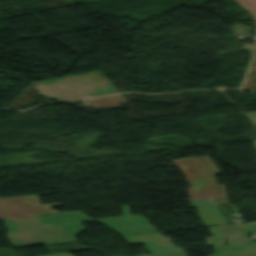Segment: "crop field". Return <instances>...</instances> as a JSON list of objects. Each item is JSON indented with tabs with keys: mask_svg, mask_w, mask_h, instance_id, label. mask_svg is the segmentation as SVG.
Wrapping results in <instances>:
<instances>
[{
	"mask_svg": "<svg viewBox=\"0 0 256 256\" xmlns=\"http://www.w3.org/2000/svg\"><path fill=\"white\" fill-rule=\"evenodd\" d=\"M34 86L37 88L42 96L58 101L112 94L118 92L109 83L103 81L77 84L72 79H58L39 82Z\"/></svg>",
	"mask_w": 256,
	"mask_h": 256,
	"instance_id": "crop-field-1",
	"label": "crop field"
},
{
	"mask_svg": "<svg viewBox=\"0 0 256 256\" xmlns=\"http://www.w3.org/2000/svg\"><path fill=\"white\" fill-rule=\"evenodd\" d=\"M59 203L40 205L36 195L0 199V218L11 219L57 212L50 207ZM35 208V209H33Z\"/></svg>",
	"mask_w": 256,
	"mask_h": 256,
	"instance_id": "crop-field-2",
	"label": "crop field"
},
{
	"mask_svg": "<svg viewBox=\"0 0 256 256\" xmlns=\"http://www.w3.org/2000/svg\"><path fill=\"white\" fill-rule=\"evenodd\" d=\"M190 188L186 189L190 198L216 195V179L214 176L187 179ZM226 194L224 185H219L217 195Z\"/></svg>",
	"mask_w": 256,
	"mask_h": 256,
	"instance_id": "crop-field-3",
	"label": "crop field"
},
{
	"mask_svg": "<svg viewBox=\"0 0 256 256\" xmlns=\"http://www.w3.org/2000/svg\"><path fill=\"white\" fill-rule=\"evenodd\" d=\"M173 161L186 177L213 174L200 157L176 159Z\"/></svg>",
	"mask_w": 256,
	"mask_h": 256,
	"instance_id": "crop-field-4",
	"label": "crop field"
},
{
	"mask_svg": "<svg viewBox=\"0 0 256 256\" xmlns=\"http://www.w3.org/2000/svg\"><path fill=\"white\" fill-rule=\"evenodd\" d=\"M84 106L88 107H103L110 109L120 108V104L126 103L121 94L103 96L91 99L82 100Z\"/></svg>",
	"mask_w": 256,
	"mask_h": 256,
	"instance_id": "crop-field-5",
	"label": "crop field"
},
{
	"mask_svg": "<svg viewBox=\"0 0 256 256\" xmlns=\"http://www.w3.org/2000/svg\"><path fill=\"white\" fill-rule=\"evenodd\" d=\"M204 226L227 224L218 206L196 209Z\"/></svg>",
	"mask_w": 256,
	"mask_h": 256,
	"instance_id": "crop-field-6",
	"label": "crop field"
},
{
	"mask_svg": "<svg viewBox=\"0 0 256 256\" xmlns=\"http://www.w3.org/2000/svg\"><path fill=\"white\" fill-rule=\"evenodd\" d=\"M130 245L136 244H146L160 241L170 240L169 237H164L160 234H147V235H137V236H127L123 237Z\"/></svg>",
	"mask_w": 256,
	"mask_h": 256,
	"instance_id": "crop-field-7",
	"label": "crop field"
},
{
	"mask_svg": "<svg viewBox=\"0 0 256 256\" xmlns=\"http://www.w3.org/2000/svg\"><path fill=\"white\" fill-rule=\"evenodd\" d=\"M226 235L256 231V223L234 224L222 226Z\"/></svg>",
	"mask_w": 256,
	"mask_h": 256,
	"instance_id": "crop-field-8",
	"label": "crop field"
},
{
	"mask_svg": "<svg viewBox=\"0 0 256 256\" xmlns=\"http://www.w3.org/2000/svg\"><path fill=\"white\" fill-rule=\"evenodd\" d=\"M241 5L250 10L256 16V0H238Z\"/></svg>",
	"mask_w": 256,
	"mask_h": 256,
	"instance_id": "crop-field-9",
	"label": "crop field"
},
{
	"mask_svg": "<svg viewBox=\"0 0 256 256\" xmlns=\"http://www.w3.org/2000/svg\"><path fill=\"white\" fill-rule=\"evenodd\" d=\"M201 158L208 165V167L213 171L214 174L222 173L207 156L201 157Z\"/></svg>",
	"mask_w": 256,
	"mask_h": 256,
	"instance_id": "crop-field-10",
	"label": "crop field"
},
{
	"mask_svg": "<svg viewBox=\"0 0 256 256\" xmlns=\"http://www.w3.org/2000/svg\"><path fill=\"white\" fill-rule=\"evenodd\" d=\"M212 236L224 235L220 226L208 227Z\"/></svg>",
	"mask_w": 256,
	"mask_h": 256,
	"instance_id": "crop-field-11",
	"label": "crop field"
}]
</instances>
